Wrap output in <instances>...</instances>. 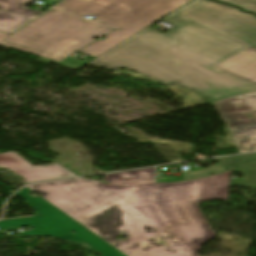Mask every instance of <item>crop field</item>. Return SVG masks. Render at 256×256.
Returning <instances> with one entry per match:
<instances>
[{
  "instance_id": "2",
  "label": "crop field",
  "mask_w": 256,
  "mask_h": 256,
  "mask_svg": "<svg viewBox=\"0 0 256 256\" xmlns=\"http://www.w3.org/2000/svg\"><path fill=\"white\" fill-rule=\"evenodd\" d=\"M171 16L190 25L161 41L139 32L89 64L112 70L126 67L215 101L256 91L255 86L212 68L251 46L187 17Z\"/></svg>"
},
{
  "instance_id": "13",
  "label": "crop field",
  "mask_w": 256,
  "mask_h": 256,
  "mask_svg": "<svg viewBox=\"0 0 256 256\" xmlns=\"http://www.w3.org/2000/svg\"><path fill=\"white\" fill-rule=\"evenodd\" d=\"M8 36H9V34H5V33L0 32V41H2L3 39H5Z\"/></svg>"
},
{
  "instance_id": "1",
  "label": "crop field",
  "mask_w": 256,
  "mask_h": 256,
  "mask_svg": "<svg viewBox=\"0 0 256 256\" xmlns=\"http://www.w3.org/2000/svg\"><path fill=\"white\" fill-rule=\"evenodd\" d=\"M231 171L243 179L230 178ZM154 173L107 174L108 185L77 178L28 187L127 256H198L200 245L216 236L197 203L228 200L229 186L256 188V160L189 182L154 184ZM119 231L125 241L116 239Z\"/></svg>"
},
{
  "instance_id": "12",
  "label": "crop field",
  "mask_w": 256,
  "mask_h": 256,
  "mask_svg": "<svg viewBox=\"0 0 256 256\" xmlns=\"http://www.w3.org/2000/svg\"><path fill=\"white\" fill-rule=\"evenodd\" d=\"M223 2L233 3L241 6L245 10L254 11L256 13V0H219Z\"/></svg>"
},
{
  "instance_id": "5",
  "label": "crop field",
  "mask_w": 256,
  "mask_h": 256,
  "mask_svg": "<svg viewBox=\"0 0 256 256\" xmlns=\"http://www.w3.org/2000/svg\"><path fill=\"white\" fill-rule=\"evenodd\" d=\"M177 12L256 47V16L208 0H197Z\"/></svg>"
},
{
  "instance_id": "4",
  "label": "crop field",
  "mask_w": 256,
  "mask_h": 256,
  "mask_svg": "<svg viewBox=\"0 0 256 256\" xmlns=\"http://www.w3.org/2000/svg\"><path fill=\"white\" fill-rule=\"evenodd\" d=\"M30 191L26 187L17 194L36 211L35 217L1 221L0 229L12 230L16 227L32 226L33 231L20 233V235L50 236L78 243L86 249L99 251L102 256H125L42 198L28 195ZM71 231L76 232V235L72 234Z\"/></svg>"
},
{
  "instance_id": "11",
  "label": "crop field",
  "mask_w": 256,
  "mask_h": 256,
  "mask_svg": "<svg viewBox=\"0 0 256 256\" xmlns=\"http://www.w3.org/2000/svg\"><path fill=\"white\" fill-rule=\"evenodd\" d=\"M256 158L255 154H247V155H239V156H232V157H224V158H216L214 160L218 161L219 163L231 168L238 164L239 162L247 159Z\"/></svg>"
},
{
  "instance_id": "6",
  "label": "crop field",
  "mask_w": 256,
  "mask_h": 256,
  "mask_svg": "<svg viewBox=\"0 0 256 256\" xmlns=\"http://www.w3.org/2000/svg\"><path fill=\"white\" fill-rule=\"evenodd\" d=\"M214 105L228 123L238 152L256 151V92L215 102Z\"/></svg>"
},
{
  "instance_id": "3",
  "label": "crop field",
  "mask_w": 256,
  "mask_h": 256,
  "mask_svg": "<svg viewBox=\"0 0 256 256\" xmlns=\"http://www.w3.org/2000/svg\"><path fill=\"white\" fill-rule=\"evenodd\" d=\"M192 0H65L55 7L76 15H94L96 21L116 28L81 50L91 55L83 63L67 57L113 30L95 21L51 9L0 45L41 56L38 60L78 69L145 27Z\"/></svg>"
},
{
  "instance_id": "7",
  "label": "crop field",
  "mask_w": 256,
  "mask_h": 256,
  "mask_svg": "<svg viewBox=\"0 0 256 256\" xmlns=\"http://www.w3.org/2000/svg\"><path fill=\"white\" fill-rule=\"evenodd\" d=\"M0 168H8L14 171L28 183L76 176L58 164L32 167L31 164L13 151L0 154Z\"/></svg>"
},
{
  "instance_id": "9",
  "label": "crop field",
  "mask_w": 256,
  "mask_h": 256,
  "mask_svg": "<svg viewBox=\"0 0 256 256\" xmlns=\"http://www.w3.org/2000/svg\"><path fill=\"white\" fill-rule=\"evenodd\" d=\"M214 68L256 86V48L252 47Z\"/></svg>"
},
{
  "instance_id": "10",
  "label": "crop field",
  "mask_w": 256,
  "mask_h": 256,
  "mask_svg": "<svg viewBox=\"0 0 256 256\" xmlns=\"http://www.w3.org/2000/svg\"><path fill=\"white\" fill-rule=\"evenodd\" d=\"M164 20H165L166 22H168V23H170V24L176 26V27L173 28L172 30L168 31V32L165 33V34L159 32V31H156V30H154V29H152V28H150V27L146 28V29L143 30L142 32L145 33V34H148V35H150V36H152V37H155V38H157V39H159V40H161V39H163V38L169 36L170 34L176 32V31L180 30L181 28H183V27H185V26L188 25V24H186V23H184V22H182V21H179V20H177V19L171 17V16L165 18Z\"/></svg>"
},
{
  "instance_id": "8",
  "label": "crop field",
  "mask_w": 256,
  "mask_h": 256,
  "mask_svg": "<svg viewBox=\"0 0 256 256\" xmlns=\"http://www.w3.org/2000/svg\"><path fill=\"white\" fill-rule=\"evenodd\" d=\"M33 0H0V31L12 33L42 11L25 7Z\"/></svg>"
}]
</instances>
